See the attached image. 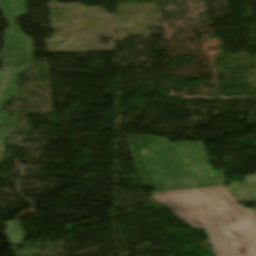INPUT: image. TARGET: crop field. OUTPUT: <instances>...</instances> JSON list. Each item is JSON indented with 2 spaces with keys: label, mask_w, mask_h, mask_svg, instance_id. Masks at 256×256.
Returning a JSON list of instances; mask_svg holds the SVG:
<instances>
[{
  "label": "crop field",
  "mask_w": 256,
  "mask_h": 256,
  "mask_svg": "<svg viewBox=\"0 0 256 256\" xmlns=\"http://www.w3.org/2000/svg\"><path fill=\"white\" fill-rule=\"evenodd\" d=\"M152 200L205 232L216 256H256V215L222 187L154 192Z\"/></svg>",
  "instance_id": "1"
},
{
  "label": "crop field",
  "mask_w": 256,
  "mask_h": 256,
  "mask_svg": "<svg viewBox=\"0 0 256 256\" xmlns=\"http://www.w3.org/2000/svg\"><path fill=\"white\" fill-rule=\"evenodd\" d=\"M26 0H0V10L12 30L4 31L0 70L8 71L0 93V144L15 128L16 116L1 112L5 101L17 96L18 73L31 66L32 43L15 25V17L26 14Z\"/></svg>",
  "instance_id": "2"
},
{
  "label": "crop field",
  "mask_w": 256,
  "mask_h": 256,
  "mask_svg": "<svg viewBox=\"0 0 256 256\" xmlns=\"http://www.w3.org/2000/svg\"><path fill=\"white\" fill-rule=\"evenodd\" d=\"M7 72L0 71V90Z\"/></svg>",
  "instance_id": "3"
}]
</instances>
